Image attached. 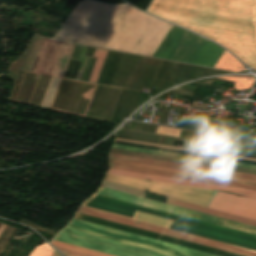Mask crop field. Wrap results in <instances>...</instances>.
<instances>
[{"instance_id":"8a807250","label":"crop field","mask_w":256,"mask_h":256,"mask_svg":"<svg viewBox=\"0 0 256 256\" xmlns=\"http://www.w3.org/2000/svg\"><path fill=\"white\" fill-rule=\"evenodd\" d=\"M147 12L223 45L256 69V0H153Z\"/></svg>"},{"instance_id":"ac0d7876","label":"crop field","mask_w":256,"mask_h":256,"mask_svg":"<svg viewBox=\"0 0 256 256\" xmlns=\"http://www.w3.org/2000/svg\"><path fill=\"white\" fill-rule=\"evenodd\" d=\"M55 240L117 256H214L75 219Z\"/></svg>"},{"instance_id":"34b2d1b8","label":"crop field","mask_w":256,"mask_h":256,"mask_svg":"<svg viewBox=\"0 0 256 256\" xmlns=\"http://www.w3.org/2000/svg\"><path fill=\"white\" fill-rule=\"evenodd\" d=\"M95 196H96V194H94V196L92 198L87 200L83 204V206L87 202H89L91 199H93ZM97 197H101V198H105V199L125 203V204H128V205H132V206H136V207L156 211V212H159V213H163V214H167V215L187 219V220H190V221H194V222L214 226V227H217V228H221V229H225V230L245 234V235H248V236L256 237V236L249 235V234H246V233H242V232L230 230V229H227V228L207 224V223H204V222L184 218V217H181V216L161 212V211H158V210L142 207V206H139V205H135V204H131V203L123 202V201H119V200H116V199H112V198H108V197H104V196H100V195H97ZM97 197H95L88 204H86V206L91 207V208H95V209H99V210H103V211H107V212H111V213H115V214H119V215H123V216H127V217H131V218H135V219H138V217L141 215V213L145 212V213H149V214H153V215H157V216H162V217L178 220V221H181L180 224H179L178 221H174V220H170V219H166V218H161V217H157V216H153V215H149V214H145V213H142V215L138 219V220H141V221H145V222L165 226V227L172 228V229H176L178 224H179L177 230L256 250V238L248 237V236H245V235H241V234H237V233L217 229V228H214V227H210V226H206V225L186 221V220H183V219H179V218L159 214V213H156V212H152V211H148V210L128 206V205H125V204H121V203H117V202H113V201H109V200H105V199H101V198H97Z\"/></svg>"},{"instance_id":"412701ff","label":"crop field","mask_w":256,"mask_h":256,"mask_svg":"<svg viewBox=\"0 0 256 256\" xmlns=\"http://www.w3.org/2000/svg\"><path fill=\"white\" fill-rule=\"evenodd\" d=\"M144 58L145 57L143 56L123 53L111 86L124 88L128 90L141 91L143 87H150L153 78L163 80L170 62L163 60L160 69H157L142 66ZM178 64L179 63L175 62L170 63L164 81L156 79L153 80L151 86L158 87L159 90L154 89V91L151 92L152 96L158 93L159 91L170 87L173 82L174 85L175 83H181L188 79L193 66L180 63L178 67ZM196 68L197 67L195 66L193 67L188 80H192L194 78ZM225 72L226 71L223 70L198 67L195 78Z\"/></svg>"},{"instance_id":"f4fd0767","label":"crop field","mask_w":256,"mask_h":256,"mask_svg":"<svg viewBox=\"0 0 256 256\" xmlns=\"http://www.w3.org/2000/svg\"><path fill=\"white\" fill-rule=\"evenodd\" d=\"M224 49L175 25L154 57L213 67Z\"/></svg>"},{"instance_id":"dd49c442","label":"crop field","mask_w":256,"mask_h":256,"mask_svg":"<svg viewBox=\"0 0 256 256\" xmlns=\"http://www.w3.org/2000/svg\"><path fill=\"white\" fill-rule=\"evenodd\" d=\"M106 181L143 191L145 190V188H147L149 189L150 192H154L157 194H161L164 196H168L171 198L179 199L182 201L194 203L205 207H207V205L210 203L214 195L217 193V191L212 190L160 183L154 181L148 182L142 179L112 175H109Z\"/></svg>"},{"instance_id":"e52e79f7","label":"crop field","mask_w":256,"mask_h":256,"mask_svg":"<svg viewBox=\"0 0 256 256\" xmlns=\"http://www.w3.org/2000/svg\"><path fill=\"white\" fill-rule=\"evenodd\" d=\"M78 213H82V214L102 218V219H105V220H109V221L129 225V226H132V227H136V228L156 232V233H159V234H163V235H167V236L187 240V241H190V242H194V243L214 247V248H217V249H221V250L241 254V255H244V256H256V252L251 251V250H247V249L227 245V244H224V243L204 239V238H201V237H197V236L177 232V231H174V230H170V229H166V228H162V227H158V226H154V225H150V224H146V223H142V222L136 224L135 220H131V219H127V218H124V217L112 215V214H109V213H105V212H101V211H98V210L86 208V207H83V206L80 207V209L78 210Z\"/></svg>"},{"instance_id":"d8731c3e","label":"crop field","mask_w":256,"mask_h":256,"mask_svg":"<svg viewBox=\"0 0 256 256\" xmlns=\"http://www.w3.org/2000/svg\"><path fill=\"white\" fill-rule=\"evenodd\" d=\"M96 194L121 199V200H124V201L144 205V206H147V207L163 210V211H166V212L186 216V217H189V218L205 221V222H208V223H212V224H216V225H220V226H224V227H228V228H231V229H235V230H239V231H243V232H247V233L256 235V227H252V226L232 222V221H229V220H225V219H221V218L201 214V213H198V212H194V211H190V210H186V209L166 205V204H163V203H159V202H155V201L135 197V196H132V195H128V194H124V193H121V192L113 191V190H110V189L100 187V189L96 192Z\"/></svg>"},{"instance_id":"5a996713","label":"crop field","mask_w":256,"mask_h":256,"mask_svg":"<svg viewBox=\"0 0 256 256\" xmlns=\"http://www.w3.org/2000/svg\"><path fill=\"white\" fill-rule=\"evenodd\" d=\"M73 45L44 38L33 73L63 78Z\"/></svg>"},{"instance_id":"3316defc","label":"crop field","mask_w":256,"mask_h":256,"mask_svg":"<svg viewBox=\"0 0 256 256\" xmlns=\"http://www.w3.org/2000/svg\"><path fill=\"white\" fill-rule=\"evenodd\" d=\"M120 90L97 85L85 116L109 122Z\"/></svg>"},{"instance_id":"28ad6ade","label":"crop field","mask_w":256,"mask_h":256,"mask_svg":"<svg viewBox=\"0 0 256 256\" xmlns=\"http://www.w3.org/2000/svg\"><path fill=\"white\" fill-rule=\"evenodd\" d=\"M78 219L83 220V221H87V222H91V223H95V224H99V225H103V226H107V227H111V228H115V229H119V230L130 232V233H134V234H138V235H142V236H146V237L166 241V242H169V243H173V244H177V245H181V246H185V247H189V248H193V249L213 253V254L220 255V256H240V255H236V254H233V253H229V252H225V251L205 247V246H202V245H198V244H194V243L174 239V238H171V237H167V236H163V235L143 231V230H140V229H136V228H132V227L112 223V222H109V221H105V220H101V219H97V218H93V217H89V216H85V215H81V214L79 215Z\"/></svg>"},{"instance_id":"d1516ede","label":"crop field","mask_w":256,"mask_h":256,"mask_svg":"<svg viewBox=\"0 0 256 256\" xmlns=\"http://www.w3.org/2000/svg\"><path fill=\"white\" fill-rule=\"evenodd\" d=\"M209 208L256 219V200L218 192Z\"/></svg>"},{"instance_id":"22f410ed","label":"crop field","mask_w":256,"mask_h":256,"mask_svg":"<svg viewBox=\"0 0 256 256\" xmlns=\"http://www.w3.org/2000/svg\"><path fill=\"white\" fill-rule=\"evenodd\" d=\"M110 159L123 160V161H129V162H136V163H143V164H149V165H156V166H163V167H170V168H176V169H183V170H190V171H197V172H203V173H210V174H217V175H223V176H230V177L256 180V175H252V174L225 171V170H219V169H212V168L199 167V166L186 165V164H179V163L153 160V159H147V158L133 157V156H127V155L114 154V153H111Z\"/></svg>"},{"instance_id":"cbeb9de0","label":"crop field","mask_w":256,"mask_h":256,"mask_svg":"<svg viewBox=\"0 0 256 256\" xmlns=\"http://www.w3.org/2000/svg\"><path fill=\"white\" fill-rule=\"evenodd\" d=\"M108 173L129 176V177L150 179V180L168 182V183H174V184H180V185H187V186H193V187L207 188V189H213V190H225V191L233 192L243 196L256 198V191L243 189V188H236V187H229V186H223V185L181 180V179H175V178L133 173V172H127V171L113 170V169H110Z\"/></svg>"},{"instance_id":"5142ce71","label":"crop field","mask_w":256,"mask_h":256,"mask_svg":"<svg viewBox=\"0 0 256 256\" xmlns=\"http://www.w3.org/2000/svg\"><path fill=\"white\" fill-rule=\"evenodd\" d=\"M181 138L184 145L190 148L202 149L215 152L216 146L223 141L231 138V136L213 135L207 133L193 132L183 130Z\"/></svg>"},{"instance_id":"d9b57169","label":"crop field","mask_w":256,"mask_h":256,"mask_svg":"<svg viewBox=\"0 0 256 256\" xmlns=\"http://www.w3.org/2000/svg\"><path fill=\"white\" fill-rule=\"evenodd\" d=\"M135 123L132 122L123 128L133 130ZM157 127L156 125L137 122L134 131L120 130L116 138L158 144L162 136L155 134Z\"/></svg>"},{"instance_id":"733c2abd","label":"crop field","mask_w":256,"mask_h":256,"mask_svg":"<svg viewBox=\"0 0 256 256\" xmlns=\"http://www.w3.org/2000/svg\"><path fill=\"white\" fill-rule=\"evenodd\" d=\"M139 92L121 90L120 96L118 98L114 113L112 115L111 121L116 123L118 118H125L127 117L134 106L136 101L137 95ZM148 94L140 92L135 103L133 111L138 108L142 103H144L149 98L147 97Z\"/></svg>"},{"instance_id":"4a817a6b","label":"crop field","mask_w":256,"mask_h":256,"mask_svg":"<svg viewBox=\"0 0 256 256\" xmlns=\"http://www.w3.org/2000/svg\"><path fill=\"white\" fill-rule=\"evenodd\" d=\"M110 168L133 171V172H140V173H147V174H154V175H161V176H168V177H175V178L188 179V180H195V181H202V182H209V183H216V184H223V185H229V186L243 187V188L256 190V186L250 185V184H242V183H235V182H229V181L189 176V175H182V174L168 173V172L148 170V169H142V168L128 167V166H122V165H115V164H111V163H110Z\"/></svg>"},{"instance_id":"bc2a9ffb","label":"crop field","mask_w":256,"mask_h":256,"mask_svg":"<svg viewBox=\"0 0 256 256\" xmlns=\"http://www.w3.org/2000/svg\"><path fill=\"white\" fill-rule=\"evenodd\" d=\"M233 138L256 142V139H253V138H244V137H238V136H233ZM217 153L256 159V145L226 141L224 143L219 144L217 148Z\"/></svg>"},{"instance_id":"214f88e0","label":"crop field","mask_w":256,"mask_h":256,"mask_svg":"<svg viewBox=\"0 0 256 256\" xmlns=\"http://www.w3.org/2000/svg\"><path fill=\"white\" fill-rule=\"evenodd\" d=\"M166 204H170V205H174V206H178V207L198 211V212H201V213H205V214H209V215H213V216L233 220V221H236V222L256 226V220H252V219H248V218H244V217H240V216H236V215H232V214H228V213L208 209V208H205V207H201V206H197V205H193V204H189V203H185V202H181V201H177V200H173V199H169V198L167 199Z\"/></svg>"},{"instance_id":"92a150f3","label":"crop field","mask_w":256,"mask_h":256,"mask_svg":"<svg viewBox=\"0 0 256 256\" xmlns=\"http://www.w3.org/2000/svg\"><path fill=\"white\" fill-rule=\"evenodd\" d=\"M122 54L108 52L98 83L110 85Z\"/></svg>"},{"instance_id":"dafd665d","label":"crop field","mask_w":256,"mask_h":256,"mask_svg":"<svg viewBox=\"0 0 256 256\" xmlns=\"http://www.w3.org/2000/svg\"><path fill=\"white\" fill-rule=\"evenodd\" d=\"M115 144H117V145H124V146H131V147H137V148H144V149H151V150H158V151L179 153V154H185V155H192V156H199V157H206V158H213V159H220V160H226V161H233V162H240V163H247V164H254V165H256V162L246 161V160H239V159L218 157V156H212V155L191 153V152H185V151L171 150V149H165V148H158V147H151V146H145V145H138V144L125 143V142H118V141H115Z\"/></svg>"},{"instance_id":"00972430","label":"crop field","mask_w":256,"mask_h":256,"mask_svg":"<svg viewBox=\"0 0 256 256\" xmlns=\"http://www.w3.org/2000/svg\"><path fill=\"white\" fill-rule=\"evenodd\" d=\"M216 68L228 69L239 71L243 70L244 67L240 64L232 55L224 50L216 64L214 65Z\"/></svg>"},{"instance_id":"a9b5d70f","label":"crop field","mask_w":256,"mask_h":256,"mask_svg":"<svg viewBox=\"0 0 256 256\" xmlns=\"http://www.w3.org/2000/svg\"><path fill=\"white\" fill-rule=\"evenodd\" d=\"M110 162H113V163H119V164H126V165H133V166H139V167H146V168H153V169H159V170H166V171H172V172L186 173V174H192V175H199V176H205V177H212V178H219V179H225V180H232V181H239V182H245V183H252V184H256V182H254V181H247V180H240V179H234V178H227V177L213 176V175H207V174L193 173V172H187V171H180V170H173V169H167V168H160V167L146 166V165H140V164H133V163L120 162V161H113V160H110Z\"/></svg>"},{"instance_id":"4177f3b9","label":"crop field","mask_w":256,"mask_h":256,"mask_svg":"<svg viewBox=\"0 0 256 256\" xmlns=\"http://www.w3.org/2000/svg\"><path fill=\"white\" fill-rule=\"evenodd\" d=\"M82 46H79V45H75L74 46V50H73V54H72V58L71 59H74V60H77L78 57H79V54H80V49H81ZM80 63L79 61H73L71 60L70 63H69V66H68V69L66 71V74H65V77L64 78H69V79H75V76L77 74V71H78V68L80 66Z\"/></svg>"},{"instance_id":"730fd06b","label":"crop field","mask_w":256,"mask_h":256,"mask_svg":"<svg viewBox=\"0 0 256 256\" xmlns=\"http://www.w3.org/2000/svg\"><path fill=\"white\" fill-rule=\"evenodd\" d=\"M106 50H102V49H96L95 54L93 57L97 58L96 63L94 65L93 71L91 73L90 79L88 82H92L95 83L98 77V74L100 72V69L102 67L103 61L105 59L106 56Z\"/></svg>"},{"instance_id":"eef30255","label":"crop field","mask_w":256,"mask_h":256,"mask_svg":"<svg viewBox=\"0 0 256 256\" xmlns=\"http://www.w3.org/2000/svg\"><path fill=\"white\" fill-rule=\"evenodd\" d=\"M218 78L235 82L236 90L248 88L254 82V79L250 76H229V77H218Z\"/></svg>"},{"instance_id":"ae1a2a85","label":"crop field","mask_w":256,"mask_h":256,"mask_svg":"<svg viewBox=\"0 0 256 256\" xmlns=\"http://www.w3.org/2000/svg\"><path fill=\"white\" fill-rule=\"evenodd\" d=\"M96 48H92V47H88L87 48V52H86V55L85 56H90L92 57L93 54H94V51H95ZM96 59L94 58H87V61H86V67L84 69V72H83V75H82V79H84L85 82L88 81V78L90 76V73H91V70L93 68V65H94V62H95Z\"/></svg>"},{"instance_id":"d3111659","label":"crop field","mask_w":256,"mask_h":256,"mask_svg":"<svg viewBox=\"0 0 256 256\" xmlns=\"http://www.w3.org/2000/svg\"><path fill=\"white\" fill-rule=\"evenodd\" d=\"M102 187L114 189V190H117V191L129 193V194L140 196V197H144V192L143 191H139V190H135V189H131V188H127V187L107 183L105 181L103 182Z\"/></svg>"},{"instance_id":"750c4746","label":"crop field","mask_w":256,"mask_h":256,"mask_svg":"<svg viewBox=\"0 0 256 256\" xmlns=\"http://www.w3.org/2000/svg\"><path fill=\"white\" fill-rule=\"evenodd\" d=\"M51 244H53L55 246H59V247H63V248H67V249H71V250H75V251H79V252H82V253L94 255V256H110V255H107V254H103V253H99V252L83 249V248H80V247H76V246H72V245L56 242L54 240H53V242Z\"/></svg>"},{"instance_id":"bd1437ed","label":"crop field","mask_w":256,"mask_h":256,"mask_svg":"<svg viewBox=\"0 0 256 256\" xmlns=\"http://www.w3.org/2000/svg\"><path fill=\"white\" fill-rule=\"evenodd\" d=\"M53 250L54 249L45 242L41 246H37L29 256H51Z\"/></svg>"},{"instance_id":"1d83c4d3","label":"crop field","mask_w":256,"mask_h":256,"mask_svg":"<svg viewBox=\"0 0 256 256\" xmlns=\"http://www.w3.org/2000/svg\"><path fill=\"white\" fill-rule=\"evenodd\" d=\"M116 140H118V141H125V142H131V143L152 145V146H158V147H165V148H172V149H179V150H185V151H192V152H199V153H206V154H212V155H219V156H226V157H232V158H239V159H246V160H253V161H256V160H254V159H248V158H242V157H236V156H229V155H221V154L209 153V152L193 151V150H188V149H183V148H177V147H170V146H164V145H154V144H147V143L126 141V140H119V139H116Z\"/></svg>"},{"instance_id":"120bbe31","label":"crop field","mask_w":256,"mask_h":256,"mask_svg":"<svg viewBox=\"0 0 256 256\" xmlns=\"http://www.w3.org/2000/svg\"><path fill=\"white\" fill-rule=\"evenodd\" d=\"M182 128H186V129H190V130H197V131H205V132H214V133H219V134H223V131L220 130H216L210 127H204V126H199L197 124L194 123H187L184 127Z\"/></svg>"},{"instance_id":"d32e631a","label":"crop field","mask_w":256,"mask_h":256,"mask_svg":"<svg viewBox=\"0 0 256 256\" xmlns=\"http://www.w3.org/2000/svg\"><path fill=\"white\" fill-rule=\"evenodd\" d=\"M180 131L181 130H179V129H173V128L159 126L156 133L179 137Z\"/></svg>"},{"instance_id":"5866460e","label":"crop field","mask_w":256,"mask_h":256,"mask_svg":"<svg viewBox=\"0 0 256 256\" xmlns=\"http://www.w3.org/2000/svg\"><path fill=\"white\" fill-rule=\"evenodd\" d=\"M56 248H57L58 250H60V251H64V252H68V253H72V254H76V255H80V256H90V255H86V254L74 252V251L67 250V249H63V248H59V247H56Z\"/></svg>"},{"instance_id":"028f5c9d","label":"crop field","mask_w":256,"mask_h":256,"mask_svg":"<svg viewBox=\"0 0 256 256\" xmlns=\"http://www.w3.org/2000/svg\"><path fill=\"white\" fill-rule=\"evenodd\" d=\"M52 256H61V255H59V254L54 250Z\"/></svg>"},{"instance_id":"e1f06a70","label":"crop field","mask_w":256,"mask_h":256,"mask_svg":"<svg viewBox=\"0 0 256 256\" xmlns=\"http://www.w3.org/2000/svg\"><path fill=\"white\" fill-rule=\"evenodd\" d=\"M65 256H76V255H72V254H68V253H66V254H64Z\"/></svg>"}]
</instances>
